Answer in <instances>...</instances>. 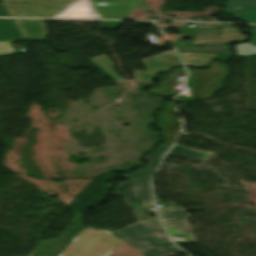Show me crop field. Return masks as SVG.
Returning a JSON list of instances; mask_svg holds the SVG:
<instances>
[{"label":"crop field","mask_w":256,"mask_h":256,"mask_svg":"<svg viewBox=\"0 0 256 256\" xmlns=\"http://www.w3.org/2000/svg\"><path fill=\"white\" fill-rule=\"evenodd\" d=\"M23 38L13 19H0V42Z\"/></svg>","instance_id":"crop-field-12"},{"label":"crop field","mask_w":256,"mask_h":256,"mask_svg":"<svg viewBox=\"0 0 256 256\" xmlns=\"http://www.w3.org/2000/svg\"><path fill=\"white\" fill-rule=\"evenodd\" d=\"M167 148L168 147L166 146H161L155 152L143 158L144 160H148L150 162V165L148 167L156 169Z\"/></svg>","instance_id":"crop-field-20"},{"label":"crop field","mask_w":256,"mask_h":256,"mask_svg":"<svg viewBox=\"0 0 256 256\" xmlns=\"http://www.w3.org/2000/svg\"><path fill=\"white\" fill-rule=\"evenodd\" d=\"M105 56L102 55V56L90 58V60L94 62L100 69H102L108 76H110L116 83L124 82L125 80L112 69V65L114 63L111 62Z\"/></svg>","instance_id":"crop-field-16"},{"label":"crop field","mask_w":256,"mask_h":256,"mask_svg":"<svg viewBox=\"0 0 256 256\" xmlns=\"http://www.w3.org/2000/svg\"><path fill=\"white\" fill-rule=\"evenodd\" d=\"M124 176L129 178V182L119 184L115 195H123L138 216L155 215V211H148L144 205L145 201L151 200L148 170H139Z\"/></svg>","instance_id":"crop-field-3"},{"label":"crop field","mask_w":256,"mask_h":256,"mask_svg":"<svg viewBox=\"0 0 256 256\" xmlns=\"http://www.w3.org/2000/svg\"><path fill=\"white\" fill-rule=\"evenodd\" d=\"M117 233H127L136 238H143V237L150 235L154 232L139 222V223H136V224H134L128 228H125Z\"/></svg>","instance_id":"crop-field-17"},{"label":"crop field","mask_w":256,"mask_h":256,"mask_svg":"<svg viewBox=\"0 0 256 256\" xmlns=\"http://www.w3.org/2000/svg\"><path fill=\"white\" fill-rule=\"evenodd\" d=\"M158 213L171 238L194 242L190 233L181 234L175 228L186 225L183 220L189 217L186 210L166 209Z\"/></svg>","instance_id":"crop-field-7"},{"label":"crop field","mask_w":256,"mask_h":256,"mask_svg":"<svg viewBox=\"0 0 256 256\" xmlns=\"http://www.w3.org/2000/svg\"><path fill=\"white\" fill-rule=\"evenodd\" d=\"M176 111L172 103H168V108L163 110V118L167 120V125H160L159 127L162 128L164 137L166 142L164 145L170 146L175 141L176 137L179 134L180 127H181V120L176 119Z\"/></svg>","instance_id":"crop-field-8"},{"label":"crop field","mask_w":256,"mask_h":256,"mask_svg":"<svg viewBox=\"0 0 256 256\" xmlns=\"http://www.w3.org/2000/svg\"><path fill=\"white\" fill-rule=\"evenodd\" d=\"M211 70L188 69L190 72L192 97H176L175 101L209 99L221 89L222 75L226 74L224 64L212 62Z\"/></svg>","instance_id":"crop-field-2"},{"label":"crop field","mask_w":256,"mask_h":256,"mask_svg":"<svg viewBox=\"0 0 256 256\" xmlns=\"http://www.w3.org/2000/svg\"><path fill=\"white\" fill-rule=\"evenodd\" d=\"M237 56L256 55V45L242 43L235 46Z\"/></svg>","instance_id":"crop-field-21"},{"label":"crop field","mask_w":256,"mask_h":256,"mask_svg":"<svg viewBox=\"0 0 256 256\" xmlns=\"http://www.w3.org/2000/svg\"><path fill=\"white\" fill-rule=\"evenodd\" d=\"M0 16H9V14L7 13L6 9L2 4H0Z\"/></svg>","instance_id":"crop-field-26"},{"label":"crop field","mask_w":256,"mask_h":256,"mask_svg":"<svg viewBox=\"0 0 256 256\" xmlns=\"http://www.w3.org/2000/svg\"><path fill=\"white\" fill-rule=\"evenodd\" d=\"M167 154L177 156V157H181V158H185V159L192 160V161H196V162H200V163H202L206 159H208V157L198 155V154H194V153H190V152L183 151V150H179V149H175V148L170 150Z\"/></svg>","instance_id":"crop-field-19"},{"label":"crop field","mask_w":256,"mask_h":256,"mask_svg":"<svg viewBox=\"0 0 256 256\" xmlns=\"http://www.w3.org/2000/svg\"><path fill=\"white\" fill-rule=\"evenodd\" d=\"M185 73L183 69H176L173 72H171L166 79L161 80V85L158 88L149 91L161 94L165 97L171 96L173 95V85L178 75H186Z\"/></svg>","instance_id":"crop-field-13"},{"label":"crop field","mask_w":256,"mask_h":256,"mask_svg":"<svg viewBox=\"0 0 256 256\" xmlns=\"http://www.w3.org/2000/svg\"><path fill=\"white\" fill-rule=\"evenodd\" d=\"M252 9H256V0H228L225 12L234 15Z\"/></svg>","instance_id":"crop-field-15"},{"label":"crop field","mask_w":256,"mask_h":256,"mask_svg":"<svg viewBox=\"0 0 256 256\" xmlns=\"http://www.w3.org/2000/svg\"><path fill=\"white\" fill-rule=\"evenodd\" d=\"M146 0H88L100 18L125 19L135 8H143Z\"/></svg>","instance_id":"crop-field-6"},{"label":"crop field","mask_w":256,"mask_h":256,"mask_svg":"<svg viewBox=\"0 0 256 256\" xmlns=\"http://www.w3.org/2000/svg\"><path fill=\"white\" fill-rule=\"evenodd\" d=\"M108 256H143L140 251L125 244L123 241Z\"/></svg>","instance_id":"crop-field-18"},{"label":"crop field","mask_w":256,"mask_h":256,"mask_svg":"<svg viewBox=\"0 0 256 256\" xmlns=\"http://www.w3.org/2000/svg\"><path fill=\"white\" fill-rule=\"evenodd\" d=\"M235 18L242 22L256 23V11L247 12L245 14L235 16Z\"/></svg>","instance_id":"crop-field-22"},{"label":"crop field","mask_w":256,"mask_h":256,"mask_svg":"<svg viewBox=\"0 0 256 256\" xmlns=\"http://www.w3.org/2000/svg\"><path fill=\"white\" fill-rule=\"evenodd\" d=\"M185 65L205 67L216 54L180 53Z\"/></svg>","instance_id":"crop-field-14"},{"label":"crop field","mask_w":256,"mask_h":256,"mask_svg":"<svg viewBox=\"0 0 256 256\" xmlns=\"http://www.w3.org/2000/svg\"><path fill=\"white\" fill-rule=\"evenodd\" d=\"M121 23L122 22L100 21V29H113Z\"/></svg>","instance_id":"crop-field-24"},{"label":"crop field","mask_w":256,"mask_h":256,"mask_svg":"<svg viewBox=\"0 0 256 256\" xmlns=\"http://www.w3.org/2000/svg\"><path fill=\"white\" fill-rule=\"evenodd\" d=\"M147 71L133 70L134 80L155 82L157 75L169 71V67H181V63L174 51L149 57L142 60Z\"/></svg>","instance_id":"crop-field-5"},{"label":"crop field","mask_w":256,"mask_h":256,"mask_svg":"<svg viewBox=\"0 0 256 256\" xmlns=\"http://www.w3.org/2000/svg\"><path fill=\"white\" fill-rule=\"evenodd\" d=\"M16 53L9 41L0 43V56Z\"/></svg>","instance_id":"crop-field-23"},{"label":"crop field","mask_w":256,"mask_h":256,"mask_svg":"<svg viewBox=\"0 0 256 256\" xmlns=\"http://www.w3.org/2000/svg\"><path fill=\"white\" fill-rule=\"evenodd\" d=\"M25 38L28 40L45 39V20L15 19Z\"/></svg>","instance_id":"crop-field-9"},{"label":"crop field","mask_w":256,"mask_h":256,"mask_svg":"<svg viewBox=\"0 0 256 256\" xmlns=\"http://www.w3.org/2000/svg\"><path fill=\"white\" fill-rule=\"evenodd\" d=\"M58 17H78V18H99L92 10L87 0H77L67 11Z\"/></svg>","instance_id":"crop-field-11"},{"label":"crop field","mask_w":256,"mask_h":256,"mask_svg":"<svg viewBox=\"0 0 256 256\" xmlns=\"http://www.w3.org/2000/svg\"><path fill=\"white\" fill-rule=\"evenodd\" d=\"M120 241L104 230L86 229L60 256H107Z\"/></svg>","instance_id":"crop-field-1"},{"label":"crop field","mask_w":256,"mask_h":256,"mask_svg":"<svg viewBox=\"0 0 256 256\" xmlns=\"http://www.w3.org/2000/svg\"><path fill=\"white\" fill-rule=\"evenodd\" d=\"M125 243L133 246L134 248L140 250L147 256H162L173 251L179 250L173 245L166 246V247H153L150 246V240H134L129 236L121 238Z\"/></svg>","instance_id":"crop-field-10"},{"label":"crop field","mask_w":256,"mask_h":256,"mask_svg":"<svg viewBox=\"0 0 256 256\" xmlns=\"http://www.w3.org/2000/svg\"><path fill=\"white\" fill-rule=\"evenodd\" d=\"M12 17H53L74 0H1ZM27 2L35 4H8Z\"/></svg>","instance_id":"crop-field-4"},{"label":"crop field","mask_w":256,"mask_h":256,"mask_svg":"<svg viewBox=\"0 0 256 256\" xmlns=\"http://www.w3.org/2000/svg\"><path fill=\"white\" fill-rule=\"evenodd\" d=\"M252 35L253 37L250 42L256 44V26H253Z\"/></svg>","instance_id":"crop-field-27"},{"label":"crop field","mask_w":256,"mask_h":256,"mask_svg":"<svg viewBox=\"0 0 256 256\" xmlns=\"http://www.w3.org/2000/svg\"><path fill=\"white\" fill-rule=\"evenodd\" d=\"M175 148H179V149H183V150H187V151H190V152H194V153H198V154H202L204 155L206 152H200V151H194L192 149H189V148H186V147H183V146H180V145H177L175 144L174 146Z\"/></svg>","instance_id":"crop-field-25"}]
</instances>
